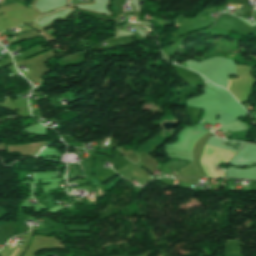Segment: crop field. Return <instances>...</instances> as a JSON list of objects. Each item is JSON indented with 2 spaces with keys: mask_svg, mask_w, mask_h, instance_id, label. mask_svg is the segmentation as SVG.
<instances>
[{
  "mask_svg": "<svg viewBox=\"0 0 256 256\" xmlns=\"http://www.w3.org/2000/svg\"><path fill=\"white\" fill-rule=\"evenodd\" d=\"M21 250H22V249H21ZM17 251H18V248H17L16 251L12 254V256H14ZM19 251H20V249H19ZM19 251H18V252H19ZM18 252H17V253H18ZM17 253H16V255H17ZM16 255H15V256H16Z\"/></svg>",
  "mask_w": 256,
  "mask_h": 256,
  "instance_id": "8a807250",
  "label": "crop field"
}]
</instances>
